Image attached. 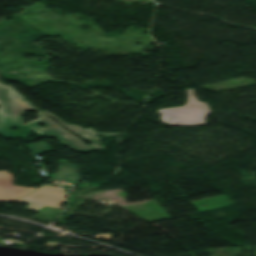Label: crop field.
<instances>
[{
  "label": "crop field",
  "instance_id": "3",
  "mask_svg": "<svg viewBox=\"0 0 256 256\" xmlns=\"http://www.w3.org/2000/svg\"><path fill=\"white\" fill-rule=\"evenodd\" d=\"M37 113L39 114V119L26 124L28 128L35 133L41 135L42 137L51 136L74 152L88 153L95 151L93 148L82 142L79 138L66 131L43 112L37 110ZM40 123L45 124V127L39 128L38 125Z\"/></svg>",
  "mask_w": 256,
  "mask_h": 256
},
{
  "label": "crop field",
  "instance_id": "2",
  "mask_svg": "<svg viewBox=\"0 0 256 256\" xmlns=\"http://www.w3.org/2000/svg\"><path fill=\"white\" fill-rule=\"evenodd\" d=\"M33 109L37 110L16 90L0 83V135L15 138L8 134L6 128L10 124H23L25 111Z\"/></svg>",
  "mask_w": 256,
  "mask_h": 256
},
{
  "label": "crop field",
  "instance_id": "4",
  "mask_svg": "<svg viewBox=\"0 0 256 256\" xmlns=\"http://www.w3.org/2000/svg\"><path fill=\"white\" fill-rule=\"evenodd\" d=\"M63 192L64 189L61 188L43 186L27 196L13 200L29 203L27 209L34 211H38L43 205L62 208L65 203V193Z\"/></svg>",
  "mask_w": 256,
  "mask_h": 256
},
{
  "label": "crop field",
  "instance_id": "5",
  "mask_svg": "<svg viewBox=\"0 0 256 256\" xmlns=\"http://www.w3.org/2000/svg\"><path fill=\"white\" fill-rule=\"evenodd\" d=\"M13 176L5 171H0V200L22 196L33 190V187L12 185Z\"/></svg>",
  "mask_w": 256,
  "mask_h": 256
},
{
  "label": "crop field",
  "instance_id": "7",
  "mask_svg": "<svg viewBox=\"0 0 256 256\" xmlns=\"http://www.w3.org/2000/svg\"><path fill=\"white\" fill-rule=\"evenodd\" d=\"M54 178L63 179L70 183H78L81 181L80 175H79V166L71 163L59 161Z\"/></svg>",
  "mask_w": 256,
  "mask_h": 256
},
{
  "label": "crop field",
  "instance_id": "1",
  "mask_svg": "<svg viewBox=\"0 0 256 256\" xmlns=\"http://www.w3.org/2000/svg\"><path fill=\"white\" fill-rule=\"evenodd\" d=\"M187 102L183 107L160 109L161 123L169 122L166 126H202L211 111L207 104L196 99L194 89H187ZM169 116H172L169 120Z\"/></svg>",
  "mask_w": 256,
  "mask_h": 256
},
{
  "label": "crop field",
  "instance_id": "6",
  "mask_svg": "<svg viewBox=\"0 0 256 256\" xmlns=\"http://www.w3.org/2000/svg\"><path fill=\"white\" fill-rule=\"evenodd\" d=\"M44 113H46L48 116H50L52 119H54L56 122H58L60 125H62L67 130L71 131L72 133H74V134L78 135L79 137L85 139L86 141L90 142L91 146L93 148H95L96 150L105 148L104 146L99 145L100 144V142H98L99 138L94 136V134H96L97 132H95L91 128L84 129L80 126L69 125V124H66L65 122L61 121L60 119L54 117L52 114H50L47 111H44ZM103 135L105 137H107L109 135H119V134H103Z\"/></svg>",
  "mask_w": 256,
  "mask_h": 256
},
{
  "label": "crop field",
  "instance_id": "8",
  "mask_svg": "<svg viewBox=\"0 0 256 256\" xmlns=\"http://www.w3.org/2000/svg\"><path fill=\"white\" fill-rule=\"evenodd\" d=\"M27 147L33 155L53 151L45 142L28 145Z\"/></svg>",
  "mask_w": 256,
  "mask_h": 256
}]
</instances>
